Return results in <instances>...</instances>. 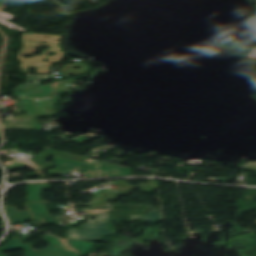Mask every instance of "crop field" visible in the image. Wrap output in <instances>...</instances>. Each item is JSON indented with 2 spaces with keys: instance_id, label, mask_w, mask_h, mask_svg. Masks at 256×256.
Listing matches in <instances>:
<instances>
[{
  "instance_id": "1",
  "label": "crop field",
  "mask_w": 256,
  "mask_h": 256,
  "mask_svg": "<svg viewBox=\"0 0 256 256\" xmlns=\"http://www.w3.org/2000/svg\"><path fill=\"white\" fill-rule=\"evenodd\" d=\"M45 37H50L45 39ZM63 36L58 35H46V34H33V33H23L22 34V43L23 49L19 51L18 55H33L40 45L51 47L49 50L45 51L39 56L33 58L42 59L47 58L51 61L61 62L64 58V51L61 50V39ZM41 41H46L47 43H42ZM47 53H54L52 56H47Z\"/></svg>"
},
{
  "instance_id": "2",
  "label": "crop field",
  "mask_w": 256,
  "mask_h": 256,
  "mask_svg": "<svg viewBox=\"0 0 256 256\" xmlns=\"http://www.w3.org/2000/svg\"><path fill=\"white\" fill-rule=\"evenodd\" d=\"M96 221L89 220V223L82 225L81 229L68 228V238L82 240V241H96L99 242L100 238L109 234H115L116 231L108 230V222L100 221L97 225Z\"/></svg>"
},
{
  "instance_id": "3",
  "label": "crop field",
  "mask_w": 256,
  "mask_h": 256,
  "mask_svg": "<svg viewBox=\"0 0 256 256\" xmlns=\"http://www.w3.org/2000/svg\"><path fill=\"white\" fill-rule=\"evenodd\" d=\"M53 158L56 168L36 171V173L46 179V176L42 175L41 172L46 171L49 172L50 175H54L57 174V172H75V170H82L83 176H85V178L98 177L97 168L94 165L55 156H53Z\"/></svg>"
},
{
  "instance_id": "4",
  "label": "crop field",
  "mask_w": 256,
  "mask_h": 256,
  "mask_svg": "<svg viewBox=\"0 0 256 256\" xmlns=\"http://www.w3.org/2000/svg\"><path fill=\"white\" fill-rule=\"evenodd\" d=\"M16 59L21 63L19 65L22 74H30L29 68L34 67L37 73H50V63L56 62H44L42 60L32 59V58H23L16 56ZM43 65H46L43 67Z\"/></svg>"
},
{
  "instance_id": "5",
  "label": "crop field",
  "mask_w": 256,
  "mask_h": 256,
  "mask_svg": "<svg viewBox=\"0 0 256 256\" xmlns=\"http://www.w3.org/2000/svg\"><path fill=\"white\" fill-rule=\"evenodd\" d=\"M102 177L108 176H133L132 169L101 163L99 166Z\"/></svg>"
},
{
  "instance_id": "6",
  "label": "crop field",
  "mask_w": 256,
  "mask_h": 256,
  "mask_svg": "<svg viewBox=\"0 0 256 256\" xmlns=\"http://www.w3.org/2000/svg\"><path fill=\"white\" fill-rule=\"evenodd\" d=\"M44 79H48V80L51 79V75L28 76L25 83L16 86L15 89L9 90V92L13 93V92L40 86L41 85L40 81H44ZM29 81L32 83H29Z\"/></svg>"
},
{
  "instance_id": "7",
  "label": "crop field",
  "mask_w": 256,
  "mask_h": 256,
  "mask_svg": "<svg viewBox=\"0 0 256 256\" xmlns=\"http://www.w3.org/2000/svg\"><path fill=\"white\" fill-rule=\"evenodd\" d=\"M112 208L111 205L107 204L102 210L98 209H82L84 212H88V219H90L91 215H97V219L99 220H109L108 218V211Z\"/></svg>"
},
{
  "instance_id": "8",
  "label": "crop field",
  "mask_w": 256,
  "mask_h": 256,
  "mask_svg": "<svg viewBox=\"0 0 256 256\" xmlns=\"http://www.w3.org/2000/svg\"><path fill=\"white\" fill-rule=\"evenodd\" d=\"M13 18H14V16H12L10 14H7L3 11L0 12V24L4 25V26H6V27H8L12 30L17 29V30L22 31V32L28 31V30H26V29H24V28H22V27H20L16 24H12V23L6 21V19L11 21Z\"/></svg>"
},
{
  "instance_id": "9",
  "label": "crop field",
  "mask_w": 256,
  "mask_h": 256,
  "mask_svg": "<svg viewBox=\"0 0 256 256\" xmlns=\"http://www.w3.org/2000/svg\"><path fill=\"white\" fill-rule=\"evenodd\" d=\"M75 66L81 69H74ZM62 73H76V72H89L91 71L90 67L85 63L69 64L61 68Z\"/></svg>"
},
{
  "instance_id": "10",
  "label": "crop field",
  "mask_w": 256,
  "mask_h": 256,
  "mask_svg": "<svg viewBox=\"0 0 256 256\" xmlns=\"http://www.w3.org/2000/svg\"><path fill=\"white\" fill-rule=\"evenodd\" d=\"M134 219H142L144 221H159L161 220L160 213L157 212V210H152L149 212V214L141 215V216H131V221Z\"/></svg>"
},
{
  "instance_id": "11",
  "label": "crop field",
  "mask_w": 256,
  "mask_h": 256,
  "mask_svg": "<svg viewBox=\"0 0 256 256\" xmlns=\"http://www.w3.org/2000/svg\"><path fill=\"white\" fill-rule=\"evenodd\" d=\"M83 74H87V73L63 74V76H64V78L68 79L69 77H67L66 75H72V76L76 77V76H80V75H83Z\"/></svg>"
},
{
  "instance_id": "12",
  "label": "crop field",
  "mask_w": 256,
  "mask_h": 256,
  "mask_svg": "<svg viewBox=\"0 0 256 256\" xmlns=\"http://www.w3.org/2000/svg\"><path fill=\"white\" fill-rule=\"evenodd\" d=\"M245 169H248V170H256V166L247 165Z\"/></svg>"
},
{
  "instance_id": "13",
  "label": "crop field",
  "mask_w": 256,
  "mask_h": 256,
  "mask_svg": "<svg viewBox=\"0 0 256 256\" xmlns=\"http://www.w3.org/2000/svg\"><path fill=\"white\" fill-rule=\"evenodd\" d=\"M5 0H0V7L2 6V4L4 3Z\"/></svg>"
}]
</instances>
